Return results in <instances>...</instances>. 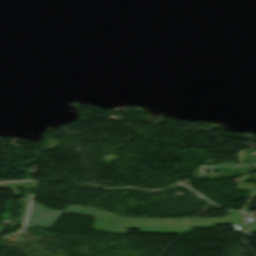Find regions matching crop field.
Returning <instances> with one entry per match:
<instances>
[{
	"label": "crop field",
	"mask_w": 256,
	"mask_h": 256,
	"mask_svg": "<svg viewBox=\"0 0 256 256\" xmlns=\"http://www.w3.org/2000/svg\"><path fill=\"white\" fill-rule=\"evenodd\" d=\"M248 210H249V209H245V210H244V213H245V214H248Z\"/></svg>",
	"instance_id": "crop-field-7"
},
{
	"label": "crop field",
	"mask_w": 256,
	"mask_h": 256,
	"mask_svg": "<svg viewBox=\"0 0 256 256\" xmlns=\"http://www.w3.org/2000/svg\"><path fill=\"white\" fill-rule=\"evenodd\" d=\"M230 221H227V220ZM213 224H233L239 231H243L244 223L241 213L229 211V215L222 219H199L182 218L179 219L180 233L190 232L191 227H213ZM189 227V228H187Z\"/></svg>",
	"instance_id": "crop-field-1"
},
{
	"label": "crop field",
	"mask_w": 256,
	"mask_h": 256,
	"mask_svg": "<svg viewBox=\"0 0 256 256\" xmlns=\"http://www.w3.org/2000/svg\"><path fill=\"white\" fill-rule=\"evenodd\" d=\"M63 212L97 216L99 209L80 207V206H70Z\"/></svg>",
	"instance_id": "crop-field-4"
},
{
	"label": "crop field",
	"mask_w": 256,
	"mask_h": 256,
	"mask_svg": "<svg viewBox=\"0 0 256 256\" xmlns=\"http://www.w3.org/2000/svg\"><path fill=\"white\" fill-rule=\"evenodd\" d=\"M246 232L256 233V225H247Z\"/></svg>",
	"instance_id": "crop-field-6"
},
{
	"label": "crop field",
	"mask_w": 256,
	"mask_h": 256,
	"mask_svg": "<svg viewBox=\"0 0 256 256\" xmlns=\"http://www.w3.org/2000/svg\"><path fill=\"white\" fill-rule=\"evenodd\" d=\"M61 213L50 211L32 202L26 226L50 228Z\"/></svg>",
	"instance_id": "crop-field-3"
},
{
	"label": "crop field",
	"mask_w": 256,
	"mask_h": 256,
	"mask_svg": "<svg viewBox=\"0 0 256 256\" xmlns=\"http://www.w3.org/2000/svg\"><path fill=\"white\" fill-rule=\"evenodd\" d=\"M251 176H254L255 178H251ZM248 179H254L256 180V174L255 175H251V174H246L234 181L238 182V188L240 189H255L254 185L252 183H244L245 181H247Z\"/></svg>",
	"instance_id": "crop-field-5"
},
{
	"label": "crop field",
	"mask_w": 256,
	"mask_h": 256,
	"mask_svg": "<svg viewBox=\"0 0 256 256\" xmlns=\"http://www.w3.org/2000/svg\"><path fill=\"white\" fill-rule=\"evenodd\" d=\"M126 228H141L140 232L179 233L178 219H128Z\"/></svg>",
	"instance_id": "crop-field-2"
}]
</instances>
